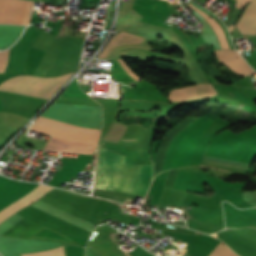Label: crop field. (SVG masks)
Wrapping results in <instances>:
<instances>
[{"label":"crop field","mask_w":256,"mask_h":256,"mask_svg":"<svg viewBox=\"0 0 256 256\" xmlns=\"http://www.w3.org/2000/svg\"><path fill=\"white\" fill-rule=\"evenodd\" d=\"M140 166L124 165L120 153L100 147L96 187L131 193L137 181ZM149 179H152V165H142L138 181L132 193L143 196ZM150 183L151 180L149 181L148 188Z\"/></svg>","instance_id":"1"},{"label":"crop field","mask_w":256,"mask_h":256,"mask_svg":"<svg viewBox=\"0 0 256 256\" xmlns=\"http://www.w3.org/2000/svg\"><path fill=\"white\" fill-rule=\"evenodd\" d=\"M30 129L53 135L44 150L93 154L100 130L39 116Z\"/></svg>","instance_id":"2"},{"label":"crop field","mask_w":256,"mask_h":256,"mask_svg":"<svg viewBox=\"0 0 256 256\" xmlns=\"http://www.w3.org/2000/svg\"><path fill=\"white\" fill-rule=\"evenodd\" d=\"M195 119L197 118H186L183 121L175 124L168 131L162 144L160 145L157 151L156 158L153 162L154 176L157 175L158 173L163 172L165 154L175 136ZM212 122L213 120L209 119L205 123L197 127L195 130L186 135V137L180 142L178 149L174 155L172 168L189 166L199 139L202 137V135L205 133V131Z\"/></svg>","instance_id":"3"},{"label":"crop field","mask_w":256,"mask_h":256,"mask_svg":"<svg viewBox=\"0 0 256 256\" xmlns=\"http://www.w3.org/2000/svg\"><path fill=\"white\" fill-rule=\"evenodd\" d=\"M41 184L24 183L8 179L0 175V211L17 201ZM53 187L41 185L14 204L0 212V223L18 212L23 207L40 199L46 192Z\"/></svg>","instance_id":"4"},{"label":"crop field","mask_w":256,"mask_h":256,"mask_svg":"<svg viewBox=\"0 0 256 256\" xmlns=\"http://www.w3.org/2000/svg\"><path fill=\"white\" fill-rule=\"evenodd\" d=\"M70 74H65L62 76L52 78H40L35 76H16L3 82L0 85V90L27 94L46 99ZM72 74L60 86H62L72 76Z\"/></svg>","instance_id":"5"},{"label":"crop field","mask_w":256,"mask_h":256,"mask_svg":"<svg viewBox=\"0 0 256 256\" xmlns=\"http://www.w3.org/2000/svg\"><path fill=\"white\" fill-rule=\"evenodd\" d=\"M189 3H191L192 5H194L195 7H197L204 13H206L207 15L213 16V14H211L209 11H207L205 8H203L201 5L195 3L191 0ZM191 4H188V5L190 7H192L194 10H196L199 14H201L204 18H206L212 24L213 28L215 29V31L220 39L222 49H230L229 45L226 41L225 34H224L221 26L219 25V23L215 20L218 23L217 24L212 18H210L209 16H207L206 14H204L203 12H201L200 10H198L197 8L192 6ZM198 13H196L194 11L191 14L194 15L204 25L203 30H202V35H201L203 41L206 44L212 46L213 49H221L219 39H218L217 35L215 34L211 24L206 19H204L202 16H200Z\"/></svg>","instance_id":"6"},{"label":"crop field","mask_w":256,"mask_h":256,"mask_svg":"<svg viewBox=\"0 0 256 256\" xmlns=\"http://www.w3.org/2000/svg\"><path fill=\"white\" fill-rule=\"evenodd\" d=\"M217 95L212 84L193 85L175 89L169 92L170 101H182L187 99H197Z\"/></svg>","instance_id":"7"},{"label":"crop field","mask_w":256,"mask_h":256,"mask_svg":"<svg viewBox=\"0 0 256 256\" xmlns=\"http://www.w3.org/2000/svg\"><path fill=\"white\" fill-rule=\"evenodd\" d=\"M237 24L243 35H256V0L249 3ZM237 24L235 27L239 34H242Z\"/></svg>","instance_id":"8"},{"label":"crop field","mask_w":256,"mask_h":256,"mask_svg":"<svg viewBox=\"0 0 256 256\" xmlns=\"http://www.w3.org/2000/svg\"><path fill=\"white\" fill-rule=\"evenodd\" d=\"M120 63L126 68V70L138 81L140 78L133 73L129 67L124 63L122 59H118ZM117 59H112V68H111V79H115L119 82H122L128 85L130 82L137 83L138 81L135 80L126 70L125 68L119 63Z\"/></svg>","instance_id":"9"},{"label":"crop field","mask_w":256,"mask_h":256,"mask_svg":"<svg viewBox=\"0 0 256 256\" xmlns=\"http://www.w3.org/2000/svg\"><path fill=\"white\" fill-rule=\"evenodd\" d=\"M143 38L134 36L132 34L126 33L124 31L120 32L107 45L104 51L98 56V58H106V56L111 52V50L118 45L128 44V43H141Z\"/></svg>","instance_id":"10"},{"label":"crop field","mask_w":256,"mask_h":256,"mask_svg":"<svg viewBox=\"0 0 256 256\" xmlns=\"http://www.w3.org/2000/svg\"><path fill=\"white\" fill-rule=\"evenodd\" d=\"M251 0H237L235 6L239 7V8H244V6ZM234 7V9L232 10V12L230 13V15L228 16V18L225 21V23L227 24V26L229 27L230 25H232L234 22L237 21L239 15L242 12V9L236 8ZM234 28V24L229 27V32H231V30Z\"/></svg>","instance_id":"11"},{"label":"crop field","mask_w":256,"mask_h":256,"mask_svg":"<svg viewBox=\"0 0 256 256\" xmlns=\"http://www.w3.org/2000/svg\"><path fill=\"white\" fill-rule=\"evenodd\" d=\"M209 256H238L224 243L218 244Z\"/></svg>","instance_id":"12"},{"label":"crop field","mask_w":256,"mask_h":256,"mask_svg":"<svg viewBox=\"0 0 256 256\" xmlns=\"http://www.w3.org/2000/svg\"><path fill=\"white\" fill-rule=\"evenodd\" d=\"M21 256H64V249L63 246L50 250V251H46V252H40V253H32V254H24Z\"/></svg>","instance_id":"13"},{"label":"crop field","mask_w":256,"mask_h":256,"mask_svg":"<svg viewBox=\"0 0 256 256\" xmlns=\"http://www.w3.org/2000/svg\"><path fill=\"white\" fill-rule=\"evenodd\" d=\"M65 256H71V246H64ZM72 256H84V249L72 246Z\"/></svg>","instance_id":"14"},{"label":"crop field","mask_w":256,"mask_h":256,"mask_svg":"<svg viewBox=\"0 0 256 256\" xmlns=\"http://www.w3.org/2000/svg\"><path fill=\"white\" fill-rule=\"evenodd\" d=\"M179 169L170 170L164 187L172 188Z\"/></svg>","instance_id":"15"},{"label":"crop field","mask_w":256,"mask_h":256,"mask_svg":"<svg viewBox=\"0 0 256 256\" xmlns=\"http://www.w3.org/2000/svg\"><path fill=\"white\" fill-rule=\"evenodd\" d=\"M128 255L130 256H155L152 253H150L149 251L139 247L137 249H135L133 252L129 253ZM126 255V256H128Z\"/></svg>","instance_id":"16"},{"label":"crop field","mask_w":256,"mask_h":256,"mask_svg":"<svg viewBox=\"0 0 256 256\" xmlns=\"http://www.w3.org/2000/svg\"><path fill=\"white\" fill-rule=\"evenodd\" d=\"M9 50L0 51V68L6 67L7 61H8Z\"/></svg>","instance_id":"17"},{"label":"crop field","mask_w":256,"mask_h":256,"mask_svg":"<svg viewBox=\"0 0 256 256\" xmlns=\"http://www.w3.org/2000/svg\"><path fill=\"white\" fill-rule=\"evenodd\" d=\"M224 88L228 89L232 93L236 94L239 98L245 100L246 102H248L250 104L253 102V100H251L250 98L246 97L245 95H243L242 93L236 91L235 89H233L231 87L225 86Z\"/></svg>","instance_id":"18"}]
</instances>
